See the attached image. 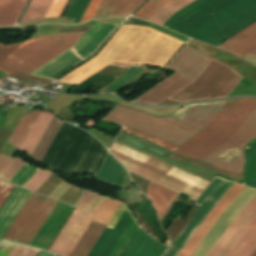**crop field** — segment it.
I'll return each mask as SVG.
<instances>
[{"label": "crop field", "mask_w": 256, "mask_h": 256, "mask_svg": "<svg viewBox=\"0 0 256 256\" xmlns=\"http://www.w3.org/2000/svg\"><path fill=\"white\" fill-rule=\"evenodd\" d=\"M255 110L254 98L241 97L230 100L201 132L180 146L175 153L201 160L228 140ZM254 137L256 111L227 142L202 161L242 174L244 146Z\"/></svg>", "instance_id": "1"}, {"label": "crop field", "mask_w": 256, "mask_h": 256, "mask_svg": "<svg viewBox=\"0 0 256 256\" xmlns=\"http://www.w3.org/2000/svg\"><path fill=\"white\" fill-rule=\"evenodd\" d=\"M182 43L149 27L123 25L96 57L59 81L78 84L110 62L162 68Z\"/></svg>", "instance_id": "2"}, {"label": "crop field", "mask_w": 256, "mask_h": 256, "mask_svg": "<svg viewBox=\"0 0 256 256\" xmlns=\"http://www.w3.org/2000/svg\"><path fill=\"white\" fill-rule=\"evenodd\" d=\"M255 20L256 0H195L163 26L217 47Z\"/></svg>", "instance_id": "3"}, {"label": "crop field", "mask_w": 256, "mask_h": 256, "mask_svg": "<svg viewBox=\"0 0 256 256\" xmlns=\"http://www.w3.org/2000/svg\"><path fill=\"white\" fill-rule=\"evenodd\" d=\"M106 151L92 135L64 122L42 163L65 173L94 174Z\"/></svg>", "instance_id": "4"}, {"label": "crop field", "mask_w": 256, "mask_h": 256, "mask_svg": "<svg viewBox=\"0 0 256 256\" xmlns=\"http://www.w3.org/2000/svg\"><path fill=\"white\" fill-rule=\"evenodd\" d=\"M110 152L129 170L196 199L209 182L114 142Z\"/></svg>", "instance_id": "5"}, {"label": "crop field", "mask_w": 256, "mask_h": 256, "mask_svg": "<svg viewBox=\"0 0 256 256\" xmlns=\"http://www.w3.org/2000/svg\"><path fill=\"white\" fill-rule=\"evenodd\" d=\"M83 35L84 33L61 34L30 39L26 42L23 41L9 46L0 45V63L25 42L5 61H3L2 64L29 74L73 46ZM0 69L25 79H34L51 83L49 80L22 75L20 72L1 65Z\"/></svg>", "instance_id": "6"}, {"label": "crop field", "mask_w": 256, "mask_h": 256, "mask_svg": "<svg viewBox=\"0 0 256 256\" xmlns=\"http://www.w3.org/2000/svg\"><path fill=\"white\" fill-rule=\"evenodd\" d=\"M104 119L151 134L177 146L201 131L172 116L154 117L120 105Z\"/></svg>", "instance_id": "7"}, {"label": "crop field", "mask_w": 256, "mask_h": 256, "mask_svg": "<svg viewBox=\"0 0 256 256\" xmlns=\"http://www.w3.org/2000/svg\"><path fill=\"white\" fill-rule=\"evenodd\" d=\"M211 60L186 45L167 67L178 72L134 100V102L147 105L159 104L194 81Z\"/></svg>", "instance_id": "8"}, {"label": "crop field", "mask_w": 256, "mask_h": 256, "mask_svg": "<svg viewBox=\"0 0 256 256\" xmlns=\"http://www.w3.org/2000/svg\"><path fill=\"white\" fill-rule=\"evenodd\" d=\"M242 76L230 67L212 60L198 78L168 100L187 102L225 98Z\"/></svg>", "instance_id": "9"}, {"label": "crop field", "mask_w": 256, "mask_h": 256, "mask_svg": "<svg viewBox=\"0 0 256 256\" xmlns=\"http://www.w3.org/2000/svg\"><path fill=\"white\" fill-rule=\"evenodd\" d=\"M117 27L95 22L75 46L32 72L31 75L58 78L93 55Z\"/></svg>", "instance_id": "10"}, {"label": "crop field", "mask_w": 256, "mask_h": 256, "mask_svg": "<svg viewBox=\"0 0 256 256\" xmlns=\"http://www.w3.org/2000/svg\"><path fill=\"white\" fill-rule=\"evenodd\" d=\"M104 200L105 197L86 191L49 251L68 256Z\"/></svg>", "instance_id": "11"}, {"label": "crop field", "mask_w": 256, "mask_h": 256, "mask_svg": "<svg viewBox=\"0 0 256 256\" xmlns=\"http://www.w3.org/2000/svg\"><path fill=\"white\" fill-rule=\"evenodd\" d=\"M57 200L32 192L4 239L30 245Z\"/></svg>", "instance_id": "12"}, {"label": "crop field", "mask_w": 256, "mask_h": 256, "mask_svg": "<svg viewBox=\"0 0 256 256\" xmlns=\"http://www.w3.org/2000/svg\"><path fill=\"white\" fill-rule=\"evenodd\" d=\"M126 208L127 207L123 203H121L118 210L125 212ZM118 210L115 212L114 216L105 227L104 231L102 232L87 256H108V254L110 253V251L112 250V248L114 247V245L116 244V242L118 241L125 228L134 216L133 212L128 208L125 213ZM137 224L138 222L134 216L109 256H117L119 254Z\"/></svg>", "instance_id": "13"}, {"label": "crop field", "mask_w": 256, "mask_h": 256, "mask_svg": "<svg viewBox=\"0 0 256 256\" xmlns=\"http://www.w3.org/2000/svg\"><path fill=\"white\" fill-rule=\"evenodd\" d=\"M39 113L40 111H33L24 115L21 118L15 131L13 132L8 143L19 148L20 144L22 143L23 139L25 138L26 134L33 125ZM53 116L54 115L51 113L41 111L31 130L21 144L19 150L25 151L31 156Z\"/></svg>", "instance_id": "14"}, {"label": "crop field", "mask_w": 256, "mask_h": 256, "mask_svg": "<svg viewBox=\"0 0 256 256\" xmlns=\"http://www.w3.org/2000/svg\"><path fill=\"white\" fill-rule=\"evenodd\" d=\"M90 0H73L64 18L79 23ZM53 0H30L20 22L41 20L47 14ZM66 0H54L46 17H58Z\"/></svg>", "instance_id": "15"}, {"label": "crop field", "mask_w": 256, "mask_h": 256, "mask_svg": "<svg viewBox=\"0 0 256 256\" xmlns=\"http://www.w3.org/2000/svg\"><path fill=\"white\" fill-rule=\"evenodd\" d=\"M233 183L223 180L220 185L212 192V194L199 207L193 217L189 220L183 230L179 233L173 243L169 246L163 256H176L209 211L222 198V196L230 189Z\"/></svg>", "instance_id": "16"}, {"label": "crop field", "mask_w": 256, "mask_h": 256, "mask_svg": "<svg viewBox=\"0 0 256 256\" xmlns=\"http://www.w3.org/2000/svg\"><path fill=\"white\" fill-rule=\"evenodd\" d=\"M120 202L106 198L93 221L107 224ZM91 222L69 256H86L101 234L105 225Z\"/></svg>", "instance_id": "17"}, {"label": "crop field", "mask_w": 256, "mask_h": 256, "mask_svg": "<svg viewBox=\"0 0 256 256\" xmlns=\"http://www.w3.org/2000/svg\"><path fill=\"white\" fill-rule=\"evenodd\" d=\"M256 216V195L234 219L207 256H225L247 225Z\"/></svg>", "instance_id": "18"}, {"label": "crop field", "mask_w": 256, "mask_h": 256, "mask_svg": "<svg viewBox=\"0 0 256 256\" xmlns=\"http://www.w3.org/2000/svg\"><path fill=\"white\" fill-rule=\"evenodd\" d=\"M244 186L234 184L231 189L224 195V197L216 204V206L211 210L178 256H190L198 244L202 241L220 215L225 211V209L231 204V202L236 198V196L242 191Z\"/></svg>", "instance_id": "19"}, {"label": "crop field", "mask_w": 256, "mask_h": 256, "mask_svg": "<svg viewBox=\"0 0 256 256\" xmlns=\"http://www.w3.org/2000/svg\"><path fill=\"white\" fill-rule=\"evenodd\" d=\"M227 101L229 100L188 104L178 109L172 116L184 120L202 130Z\"/></svg>", "instance_id": "20"}, {"label": "crop field", "mask_w": 256, "mask_h": 256, "mask_svg": "<svg viewBox=\"0 0 256 256\" xmlns=\"http://www.w3.org/2000/svg\"><path fill=\"white\" fill-rule=\"evenodd\" d=\"M170 0H149L134 17L148 20L155 12H157L164 4ZM194 0H172L164 5L156 14L149 20L162 25L176 11L183 8Z\"/></svg>", "instance_id": "21"}, {"label": "crop field", "mask_w": 256, "mask_h": 256, "mask_svg": "<svg viewBox=\"0 0 256 256\" xmlns=\"http://www.w3.org/2000/svg\"><path fill=\"white\" fill-rule=\"evenodd\" d=\"M165 247L139 225L120 256H159Z\"/></svg>", "instance_id": "22"}, {"label": "crop field", "mask_w": 256, "mask_h": 256, "mask_svg": "<svg viewBox=\"0 0 256 256\" xmlns=\"http://www.w3.org/2000/svg\"><path fill=\"white\" fill-rule=\"evenodd\" d=\"M30 194L31 191L16 186L0 209V240L5 235Z\"/></svg>", "instance_id": "23"}, {"label": "crop field", "mask_w": 256, "mask_h": 256, "mask_svg": "<svg viewBox=\"0 0 256 256\" xmlns=\"http://www.w3.org/2000/svg\"><path fill=\"white\" fill-rule=\"evenodd\" d=\"M144 0H102L94 18L127 17Z\"/></svg>", "instance_id": "24"}, {"label": "crop field", "mask_w": 256, "mask_h": 256, "mask_svg": "<svg viewBox=\"0 0 256 256\" xmlns=\"http://www.w3.org/2000/svg\"><path fill=\"white\" fill-rule=\"evenodd\" d=\"M256 47V23L226 41L220 48L228 50L239 57Z\"/></svg>", "instance_id": "25"}, {"label": "crop field", "mask_w": 256, "mask_h": 256, "mask_svg": "<svg viewBox=\"0 0 256 256\" xmlns=\"http://www.w3.org/2000/svg\"><path fill=\"white\" fill-rule=\"evenodd\" d=\"M256 248V217L248 225L226 256H250Z\"/></svg>", "instance_id": "26"}, {"label": "crop field", "mask_w": 256, "mask_h": 256, "mask_svg": "<svg viewBox=\"0 0 256 256\" xmlns=\"http://www.w3.org/2000/svg\"><path fill=\"white\" fill-rule=\"evenodd\" d=\"M146 196L150 199L156 208L160 219L176 196V193L156 184L150 183Z\"/></svg>", "instance_id": "27"}, {"label": "crop field", "mask_w": 256, "mask_h": 256, "mask_svg": "<svg viewBox=\"0 0 256 256\" xmlns=\"http://www.w3.org/2000/svg\"><path fill=\"white\" fill-rule=\"evenodd\" d=\"M27 0H0V26L14 25Z\"/></svg>", "instance_id": "28"}, {"label": "crop field", "mask_w": 256, "mask_h": 256, "mask_svg": "<svg viewBox=\"0 0 256 256\" xmlns=\"http://www.w3.org/2000/svg\"><path fill=\"white\" fill-rule=\"evenodd\" d=\"M96 177L122 186L123 169L119 163L108 154Z\"/></svg>", "instance_id": "29"}, {"label": "crop field", "mask_w": 256, "mask_h": 256, "mask_svg": "<svg viewBox=\"0 0 256 256\" xmlns=\"http://www.w3.org/2000/svg\"><path fill=\"white\" fill-rule=\"evenodd\" d=\"M145 68V66L133 65L100 93L114 95Z\"/></svg>", "instance_id": "30"}, {"label": "crop field", "mask_w": 256, "mask_h": 256, "mask_svg": "<svg viewBox=\"0 0 256 256\" xmlns=\"http://www.w3.org/2000/svg\"><path fill=\"white\" fill-rule=\"evenodd\" d=\"M25 163L20 158L0 154V178L9 181Z\"/></svg>", "instance_id": "31"}, {"label": "crop field", "mask_w": 256, "mask_h": 256, "mask_svg": "<svg viewBox=\"0 0 256 256\" xmlns=\"http://www.w3.org/2000/svg\"><path fill=\"white\" fill-rule=\"evenodd\" d=\"M243 184L256 188V146L247 147V164Z\"/></svg>", "instance_id": "32"}, {"label": "crop field", "mask_w": 256, "mask_h": 256, "mask_svg": "<svg viewBox=\"0 0 256 256\" xmlns=\"http://www.w3.org/2000/svg\"><path fill=\"white\" fill-rule=\"evenodd\" d=\"M170 158L180 160V161H183V162L195 165V166H199V167H202V168H205V169H208V170H211V171H215V172H218V173H221V174H224V175L234 177V178H237V179L241 180V176H242L241 174H238V173H235V172H232V171H228V170H225V169H222V168L210 165V164H206V163H203V162H200V161L188 158V157H184V156L173 153L170 156Z\"/></svg>", "instance_id": "33"}, {"label": "crop field", "mask_w": 256, "mask_h": 256, "mask_svg": "<svg viewBox=\"0 0 256 256\" xmlns=\"http://www.w3.org/2000/svg\"><path fill=\"white\" fill-rule=\"evenodd\" d=\"M39 250L20 246H1L0 256H36Z\"/></svg>", "instance_id": "34"}, {"label": "crop field", "mask_w": 256, "mask_h": 256, "mask_svg": "<svg viewBox=\"0 0 256 256\" xmlns=\"http://www.w3.org/2000/svg\"><path fill=\"white\" fill-rule=\"evenodd\" d=\"M52 173L39 169L22 187L35 191Z\"/></svg>", "instance_id": "35"}, {"label": "crop field", "mask_w": 256, "mask_h": 256, "mask_svg": "<svg viewBox=\"0 0 256 256\" xmlns=\"http://www.w3.org/2000/svg\"><path fill=\"white\" fill-rule=\"evenodd\" d=\"M37 170L38 168H35L26 163L10 180V182L22 186Z\"/></svg>", "instance_id": "36"}, {"label": "crop field", "mask_w": 256, "mask_h": 256, "mask_svg": "<svg viewBox=\"0 0 256 256\" xmlns=\"http://www.w3.org/2000/svg\"><path fill=\"white\" fill-rule=\"evenodd\" d=\"M62 180H64V179L53 174L45 183H43L36 190V192H39L41 194L48 196Z\"/></svg>", "instance_id": "37"}, {"label": "crop field", "mask_w": 256, "mask_h": 256, "mask_svg": "<svg viewBox=\"0 0 256 256\" xmlns=\"http://www.w3.org/2000/svg\"><path fill=\"white\" fill-rule=\"evenodd\" d=\"M123 131H126V132H129V133L135 134L137 136L149 139V140H151V141H153V142H155V143H157V144H159V145H161V146H163V147H165V148H167V149H169V150H171L173 152L177 149V147H175L173 145H170V144H168L166 142H163V141H161V140H159L157 138H154V137H152L150 135L143 134V133H140V132H136V131L130 130L128 128H125V127L123 128Z\"/></svg>", "instance_id": "38"}, {"label": "crop field", "mask_w": 256, "mask_h": 256, "mask_svg": "<svg viewBox=\"0 0 256 256\" xmlns=\"http://www.w3.org/2000/svg\"><path fill=\"white\" fill-rule=\"evenodd\" d=\"M101 0H91L80 22L93 18Z\"/></svg>", "instance_id": "39"}, {"label": "crop field", "mask_w": 256, "mask_h": 256, "mask_svg": "<svg viewBox=\"0 0 256 256\" xmlns=\"http://www.w3.org/2000/svg\"><path fill=\"white\" fill-rule=\"evenodd\" d=\"M222 179L216 178L211 185L201 194V196L195 201V204L201 205L203 201L210 195V193L219 185Z\"/></svg>", "instance_id": "40"}, {"label": "crop field", "mask_w": 256, "mask_h": 256, "mask_svg": "<svg viewBox=\"0 0 256 256\" xmlns=\"http://www.w3.org/2000/svg\"><path fill=\"white\" fill-rule=\"evenodd\" d=\"M14 188V185H11L9 183L3 182L0 180V207L3 204V202L6 200L12 189Z\"/></svg>", "instance_id": "41"}, {"label": "crop field", "mask_w": 256, "mask_h": 256, "mask_svg": "<svg viewBox=\"0 0 256 256\" xmlns=\"http://www.w3.org/2000/svg\"><path fill=\"white\" fill-rule=\"evenodd\" d=\"M70 185H68L65 182H62L50 195L49 197H53L58 199L68 188Z\"/></svg>", "instance_id": "42"}, {"label": "crop field", "mask_w": 256, "mask_h": 256, "mask_svg": "<svg viewBox=\"0 0 256 256\" xmlns=\"http://www.w3.org/2000/svg\"><path fill=\"white\" fill-rule=\"evenodd\" d=\"M243 59H245V60H247V61H249V62H251V61H253L254 59H256V48H255L254 50L250 51L249 53H247V54L243 57Z\"/></svg>", "instance_id": "43"}, {"label": "crop field", "mask_w": 256, "mask_h": 256, "mask_svg": "<svg viewBox=\"0 0 256 256\" xmlns=\"http://www.w3.org/2000/svg\"><path fill=\"white\" fill-rule=\"evenodd\" d=\"M251 256H256V250L253 252V254Z\"/></svg>", "instance_id": "44"}, {"label": "crop field", "mask_w": 256, "mask_h": 256, "mask_svg": "<svg viewBox=\"0 0 256 256\" xmlns=\"http://www.w3.org/2000/svg\"><path fill=\"white\" fill-rule=\"evenodd\" d=\"M251 63H253V64H255L256 65V60H254L253 62H251Z\"/></svg>", "instance_id": "45"}, {"label": "crop field", "mask_w": 256, "mask_h": 256, "mask_svg": "<svg viewBox=\"0 0 256 256\" xmlns=\"http://www.w3.org/2000/svg\"><path fill=\"white\" fill-rule=\"evenodd\" d=\"M54 256H56V255H54Z\"/></svg>", "instance_id": "46"}]
</instances>
